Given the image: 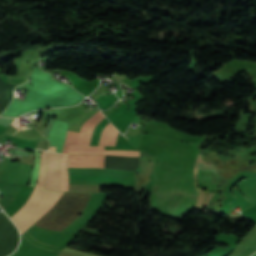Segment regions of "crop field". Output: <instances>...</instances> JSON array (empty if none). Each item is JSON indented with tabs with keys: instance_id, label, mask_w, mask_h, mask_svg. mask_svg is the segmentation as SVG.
<instances>
[{
	"instance_id": "1",
	"label": "crop field",
	"mask_w": 256,
	"mask_h": 256,
	"mask_svg": "<svg viewBox=\"0 0 256 256\" xmlns=\"http://www.w3.org/2000/svg\"><path fill=\"white\" fill-rule=\"evenodd\" d=\"M46 169V152H41V169L37 186L23 206L10 218L23 234L61 197L63 192L50 191L43 188Z\"/></svg>"
},
{
	"instance_id": "2",
	"label": "crop field",
	"mask_w": 256,
	"mask_h": 256,
	"mask_svg": "<svg viewBox=\"0 0 256 256\" xmlns=\"http://www.w3.org/2000/svg\"><path fill=\"white\" fill-rule=\"evenodd\" d=\"M105 116L99 111L94 116H92L89 120H87L81 128L80 134L77 132L69 131L67 132L63 151L66 153L68 145H75L78 137V141L76 145H89L90 137L92 135L94 127L104 118Z\"/></svg>"
},
{
	"instance_id": "3",
	"label": "crop field",
	"mask_w": 256,
	"mask_h": 256,
	"mask_svg": "<svg viewBox=\"0 0 256 256\" xmlns=\"http://www.w3.org/2000/svg\"><path fill=\"white\" fill-rule=\"evenodd\" d=\"M60 156L57 153H48V169L45 181V187L58 190L60 182Z\"/></svg>"
},
{
	"instance_id": "4",
	"label": "crop field",
	"mask_w": 256,
	"mask_h": 256,
	"mask_svg": "<svg viewBox=\"0 0 256 256\" xmlns=\"http://www.w3.org/2000/svg\"><path fill=\"white\" fill-rule=\"evenodd\" d=\"M67 153H70V154H111V155L139 156V151H124V150L104 151V147H90V146H69Z\"/></svg>"
},
{
	"instance_id": "5",
	"label": "crop field",
	"mask_w": 256,
	"mask_h": 256,
	"mask_svg": "<svg viewBox=\"0 0 256 256\" xmlns=\"http://www.w3.org/2000/svg\"><path fill=\"white\" fill-rule=\"evenodd\" d=\"M118 132L119 131H117L114 126L109 122L102 133L99 145L115 146Z\"/></svg>"
},
{
	"instance_id": "6",
	"label": "crop field",
	"mask_w": 256,
	"mask_h": 256,
	"mask_svg": "<svg viewBox=\"0 0 256 256\" xmlns=\"http://www.w3.org/2000/svg\"><path fill=\"white\" fill-rule=\"evenodd\" d=\"M66 159H67V155L62 154L61 183H60V189L59 190H67V188H68V176H67V170H66Z\"/></svg>"
},
{
	"instance_id": "7",
	"label": "crop field",
	"mask_w": 256,
	"mask_h": 256,
	"mask_svg": "<svg viewBox=\"0 0 256 256\" xmlns=\"http://www.w3.org/2000/svg\"><path fill=\"white\" fill-rule=\"evenodd\" d=\"M36 157H35V163H34V171L31 179L30 185L35 186L38 172H39V160H40V150H35Z\"/></svg>"
},
{
	"instance_id": "8",
	"label": "crop field",
	"mask_w": 256,
	"mask_h": 256,
	"mask_svg": "<svg viewBox=\"0 0 256 256\" xmlns=\"http://www.w3.org/2000/svg\"><path fill=\"white\" fill-rule=\"evenodd\" d=\"M55 149H56V148H53V149H51V150H49V151H55Z\"/></svg>"
},
{
	"instance_id": "9",
	"label": "crop field",
	"mask_w": 256,
	"mask_h": 256,
	"mask_svg": "<svg viewBox=\"0 0 256 256\" xmlns=\"http://www.w3.org/2000/svg\"><path fill=\"white\" fill-rule=\"evenodd\" d=\"M119 100V99H118ZM116 103V102H115Z\"/></svg>"
},
{
	"instance_id": "10",
	"label": "crop field",
	"mask_w": 256,
	"mask_h": 256,
	"mask_svg": "<svg viewBox=\"0 0 256 256\" xmlns=\"http://www.w3.org/2000/svg\"><path fill=\"white\" fill-rule=\"evenodd\" d=\"M51 148V147H50Z\"/></svg>"
}]
</instances>
